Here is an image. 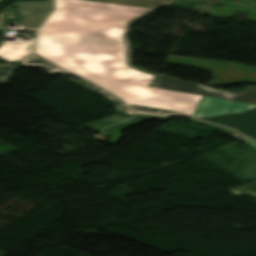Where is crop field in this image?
Segmentation results:
<instances>
[{"label": "crop field", "instance_id": "15", "mask_svg": "<svg viewBox=\"0 0 256 256\" xmlns=\"http://www.w3.org/2000/svg\"><path fill=\"white\" fill-rule=\"evenodd\" d=\"M19 65L17 64L15 71H0V84L7 83L11 76L19 69Z\"/></svg>", "mask_w": 256, "mask_h": 256}, {"label": "crop field", "instance_id": "7", "mask_svg": "<svg viewBox=\"0 0 256 256\" xmlns=\"http://www.w3.org/2000/svg\"><path fill=\"white\" fill-rule=\"evenodd\" d=\"M146 120L147 119H141V118H128L119 123H116L107 128H104L100 131L109 135L111 138H113L114 140L111 143L116 144L117 141L123 136V134L120 133L121 131L127 130L139 123L146 121Z\"/></svg>", "mask_w": 256, "mask_h": 256}, {"label": "crop field", "instance_id": "10", "mask_svg": "<svg viewBox=\"0 0 256 256\" xmlns=\"http://www.w3.org/2000/svg\"><path fill=\"white\" fill-rule=\"evenodd\" d=\"M17 4L18 2H15L11 6H17ZM11 6H7L2 11H0V28L1 29L4 23H7L9 21H14L18 23L22 17L17 13L16 9H9Z\"/></svg>", "mask_w": 256, "mask_h": 256}, {"label": "crop field", "instance_id": "13", "mask_svg": "<svg viewBox=\"0 0 256 256\" xmlns=\"http://www.w3.org/2000/svg\"><path fill=\"white\" fill-rule=\"evenodd\" d=\"M230 192L234 193L237 196H240L243 194H252L256 196V180L248 184H245L241 187H238L236 189H233Z\"/></svg>", "mask_w": 256, "mask_h": 256}, {"label": "crop field", "instance_id": "11", "mask_svg": "<svg viewBox=\"0 0 256 256\" xmlns=\"http://www.w3.org/2000/svg\"><path fill=\"white\" fill-rule=\"evenodd\" d=\"M124 118H126V117L116 113L114 115H111V116H108L106 118L97 120L95 122L89 123V124L84 125V126L89 128V129H91V130H93V131H96V130H98L100 128H103V127H105L107 125H110V124H112L114 122H117V121H119L121 119H124Z\"/></svg>", "mask_w": 256, "mask_h": 256}, {"label": "crop field", "instance_id": "2", "mask_svg": "<svg viewBox=\"0 0 256 256\" xmlns=\"http://www.w3.org/2000/svg\"><path fill=\"white\" fill-rule=\"evenodd\" d=\"M154 87L256 104V87H247L245 90L240 92H229L227 94H223L201 90L203 87L202 85L180 81L174 77L164 74L159 75Z\"/></svg>", "mask_w": 256, "mask_h": 256}, {"label": "crop field", "instance_id": "5", "mask_svg": "<svg viewBox=\"0 0 256 256\" xmlns=\"http://www.w3.org/2000/svg\"><path fill=\"white\" fill-rule=\"evenodd\" d=\"M52 0L45 2H19L18 12L23 15L19 22L28 29H38L39 25L52 10Z\"/></svg>", "mask_w": 256, "mask_h": 256}, {"label": "crop field", "instance_id": "12", "mask_svg": "<svg viewBox=\"0 0 256 256\" xmlns=\"http://www.w3.org/2000/svg\"><path fill=\"white\" fill-rule=\"evenodd\" d=\"M98 93H100L101 95L105 96L109 101L113 102L115 104L116 110L124 115H132L133 113H131L130 111H128L123 104L121 103L120 100L114 98L113 96L109 95L108 93L102 91L99 88H94L92 89Z\"/></svg>", "mask_w": 256, "mask_h": 256}, {"label": "crop field", "instance_id": "19", "mask_svg": "<svg viewBox=\"0 0 256 256\" xmlns=\"http://www.w3.org/2000/svg\"><path fill=\"white\" fill-rule=\"evenodd\" d=\"M244 142L250 144L254 149H256V143H255V142H253V141H251V140H246V141H244Z\"/></svg>", "mask_w": 256, "mask_h": 256}, {"label": "crop field", "instance_id": "18", "mask_svg": "<svg viewBox=\"0 0 256 256\" xmlns=\"http://www.w3.org/2000/svg\"><path fill=\"white\" fill-rule=\"evenodd\" d=\"M138 117H147V118H158V119H166V118H162V117H153V116H147V115H141V114H138L136 115Z\"/></svg>", "mask_w": 256, "mask_h": 256}, {"label": "crop field", "instance_id": "14", "mask_svg": "<svg viewBox=\"0 0 256 256\" xmlns=\"http://www.w3.org/2000/svg\"><path fill=\"white\" fill-rule=\"evenodd\" d=\"M191 122L201 123V124H203V125H206V126L215 128V129H217V130H219V131H222V132H224V133H226V134L232 135V136H234V137H236V138H237V136L240 135V134L235 133V132H233V131H231V130H229V129L222 128V127H219V126H216V125H212V124H208V123H203V122L195 121V120H193V119H191Z\"/></svg>", "mask_w": 256, "mask_h": 256}, {"label": "crop field", "instance_id": "8", "mask_svg": "<svg viewBox=\"0 0 256 256\" xmlns=\"http://www.w3.org/2000/svg\"><path fill=\"white\" fill-rule=\"evenodd\" d=\"M20 65L24 67H29V66H36V67H42L48 74H54V73H61V74H67L70 75L58 68H56L54 65L49 63L48 61L32 54L25 58L24 60L20 61Z\"/></svg>", "mask_w": 256, "mask_h": 256}, {"label": "crop field", "instance_id": "9", "mask_svg": "<svg viewBox=\"0 0 256 256\" xmlns=\"http://www.w3.org/2000/svg\"><path fill=\"white\" fill-rule=\"evenodd\" d=\"M106 2L147 6V7H163L171 5L175 0H104Z\"/></svg>", "mask_w": 256, "mask_h": 256}, {"label": "crop field", "instance_id": "16", "mask_svg": "<svg viewBox=\"0 0 256 256\" xmlns=\"http://www.w3.org/2000/svg\"><path fill=\"white\" fill-rule=\"evenodd\" d=\"M16 65H0V70H14Z\"/></svg>", "mask_w": 256, "mask_h": 256}, {"label": "crop field", "instance_id": "17", "mask_svg": "<svg viewBox=\"0 0 256 256\" xmlns=\"http://www.w3.org/2000/svg\"><path fill=\"white\" fill-rule=\"evenodd\" d=\"M203 89H205V90H211V91H217V92L227 93V91H223V90H219V89H211V88L206 87V86H204V88H203Z\"/></svg>", "mask_w": 256, "mask_h": 256}, {"label": "crop field", "instance_id": "4", "mask_svg": "<svg viewBox=\"0 0 256 256\" xmlns=\"http://www.w3.org/2000/svg\"><path fill=\"white\" fill-rule=\"evenodd\" d=\"M233 128L256 140V110L243 114L224 115L211 119H200Z\"/></svg>", "mask_w": 256, "mask_h": 256}, {"label": "crop field", "instance_id": "3", "mask_svg": "<svg viewBox=\"0 0 256 256\" xmlns=\"http://www.w3.org/2000/svg\"><path fill=\"white\" fill-rule=\"evenodd\" d=\"M255 107L256 105L204 96L193 117H212L225 113H239Z\"/></svg>", "mask_w": 256, "mask_h": 256}, {"label": "crop field", "instance_id": "1", "mask_svg": "<svg viewBox=\"0 0 256 256\" xmlns=\"http://www.w3.org/2000/svg\"><path fill=\"white\" fill-rule=\"evenodd\" d=\"M56 2L39 32L38 54L98 84L133 111L192 117L202 96L152 88L158 74L131 63L127 39L131 25L154 9L84 0Z\"/></svg>", "mask_w": 256, "mask_h": 256}, {"label": "crop field", "instance_id": "6", "mask_svg": "<svg viewBox=\"0 0 256 256\" xmlns=\"http://www.w3.org/2000/svg\"><path fill=\"white\" fill-rule=\"evenodd\" d=\"M33 47L34 41L3 42L0 47V58L8 61L19 60L33 51Z\"/></svg>", "mask_w": 256, "mask_h": 256}]
</instances>
